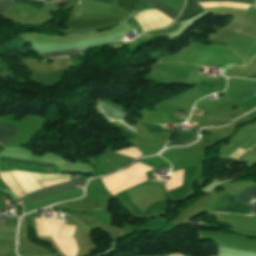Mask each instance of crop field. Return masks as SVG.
I'll return each instance as SVG.
<instances>
[{
	"label": "crop field",
	"instance_id": "8a807250",
	"mask_svg": "<svg viewBox=\"0 0 256 256\" xmlns=\"http://www.w3.org/2000/svg\"><path fill=\"white\" fill-rule=\"evenodd\" d=\"M73 182H68L60 185H56L53 187L45 188L40 191L34 192L32 194H29L27 196H24L26 199H28L31 203H34L36 201H39L44 198H48L51 196H55L58 194H62L65 192H69L78 188L73 187Z\"/></svg>",
	"mask_w": 256,
	"mask_h": 256
},
{
	"label": "crop field",
	"instance_id": "ac0d7876",
	"mask_svg": "<svg viewBox=\"0 0 256 256\" xmlns=\"http://www.w3.org/2000/svg\"><path fill=\"white\" fill-rule=\"evenodd\" d=\"M234 199V196L225 193L219 203L213 209L231 212H235L237 208L250 209L249 206L237 203Z\"/></svg>",
	"mask_w": 256,
	"mask_h": 256
},
{
	"label": "crop field",
	"instance_id": "34b2d1b8",
	"mask_svg": "<svg viewBox=\"0 0 256 256\" xmlns=\"http://www.w3.org/2000/svg\"><path fill=\"white\" fill-rule=\"evenodd\" d=\"M21 130L0 122V143L3 145L15 138Z\"/></svg>",
	"mask_w": 256,
	"mask_h": 256
},
{
	"label": "crop field",
	"instance_id": "412701ff",
	"mask_svg": "<svg viewBox=\"0 0 256 256\" xmlns=\"http://www.w3.org/2000/svg\"><path fill=\"white\" fill-rule=\"evenodd\" d=\"M59 205H64L76 209H96L100 208L95 198L82 199L77 201H72L68 203H63Z\"/></svg>",
	"mask_w": 256,
	"mask_h": 256
},
{
	"label": "crop field",
	"instance_id": "f4fd0767",
	"mask_svg": "<svg viewBox=\"0 0 256 256\" xmlns=\"http://www.w3.org/2000/svg\"><path fill=\"white\" fill-rule=\"evenodd\" d=\"M147 4L157 8L159 11H161L163 14H165L167 17H169L171 20H174V18L177 16L178 12H176L174 9H172L170 6H168L166 3H164L162 0H144ZM156 9V10H157Z\"/></svg>",
	"mask_w": 256,
	"mask_h": 256
},
{
	"label": "crop field",
	"instance_id": "dd49c442",
	"mask_svg": "<svg viewBox=\"0 0 256 256\" xmlns=\"http://www.w3.org/2000/svg\"><path fill=\"white\" fill-rule=\"evenodd\" d=\"M15 4L17 3H26L33 8H41L45 2L38 0H13ZM14 5L12 0H0V14H3L8 7Z\"/></svg>",
	"mask_w": 256,
	"mask_h": 256
},
{
	"label": "crop field",
	"instance_id": "e52e79f7",
	"mask_svg": "<svg viewBox=\"0 0 256 256\" xmlns=\"http://www.w3.org/2000/svg\"><path fill=\"white\" fill-rule=\"evenodd\" d=\"M182 12L183 14L178 21L194 17L199 13L203 12V10L201 9L199 4L195 3L192 0H187V5Z\"/></svg>",
	"mask_w": 256,
	"mask_h": 256
},
{
	"label": "crop field",
	"instance_id": "d8731c3e",
	"mask_svg": "<svg viewBox=\"0 0 256 256\" xmlns=\"http://www.w3.org/2000/svg\"><path fill=\"white\" fill-rule=\"evenodd\" d=\"M183 134L180 133H176V135L173 137V139L170 141L169 144H173V145H178L180 139L182 138ZM197 140V136L192 134V133H188V134H184L182 140L180 141L179 145H186V144H190L193 141Z\"/></svg>",
	"mask_w": 256,
	"mask_h": 256
},
{
	"label": "crop field",
	"instance_id": "5a996713",
	"mask_svg": "<svg viewBox=\"0 0 256 256\" xmlns=\"http://www.w3.org/2000/svg\"><path fill=\"white\" fill-rule=\"evenodd\" d=\"M255 198H256V187L246 189L239 196H237L236 200L249 205L250 201H252Z\"/></svg>",
	"mask_w": 256,
	"mask_h": 256
},
{
	"label": "crop field",
	"instance_id": "3316defc",
	"mask_svg": "<svg viewBox=\"0 0 256 256\" xmlns=\"http://www.w3.org/2000/svg\"><path fill=\"white\" fill-rule=\"evenodd\" d=\"M99 105L104 109V111L106 112L108 117L115 118V119H120V118H124L125 115H126L124 113H121V112L113 109L112 107L107 105L104 101L100 100Z\"/></svg>",
	"mask_w": 256,
	"mask_h": 256
},
{
	"label": "crop field",
	"instance_id": "28ad6ade",
	"mask_svg": "<svg viewBox=\"0 0 256 256\" xmlns=\"http://www.w3.org/2000/svg\"><path fill=\"white\" fill-rule=\"evenodd\" d=\"M80 53H83V52L77 49H72V50H64V51H57V52H50V53H42L40 55L45 57H56V56H73Z\"/></svg>",
	"mask_w": 256,
	"mask_h": 256
},
{
	"label": "crop field",
	"instance_id": "d1516ede",
	"mask_svg": "<svg viewBox=\"0 0 256 256\" xmlns=\"http://www.w3.org/2000/svg\"><path fill=\"white\" fill-rule=\"evenodd\" d=\"M12 247H13V243L0 241V255L9 253Z\"/></svg>",
	"mask_w": 256,
	"mask_h": 256
},
{
	"label": "crop field",
	"instance_id": "22f410ed",
	"mask_svg": "<svg viewBox=\"0 0 256 256\" xmlns=\"http://www.w3.org/2000/svg\"><path fill=\"white\" fill-rule=\"evenodd\" d=\"M197 2H209V1H230V2H238V3H246L252 4L254 1L251 0H195Z\"/></svg>",
	"mask_w": 256,
	"mask_h": 256
},
{
	"label": "crop field",
	"instance_id": "cbeb9de0",
	"mask_svg": "<svg viewBox=\"0 0 256 256\" xmlns=\"http://www.w3.org/2000/svg\"><path fill=\"white\" fill-rule=\"evenodd\" d=\"M141 124H143L148 129L149 132L160 133V131H161V127L160 126L151 125V124H145V123H142V122H141Z\"/></svg>",
	"mask_w": 256,
	"mask_h": 256
},
{
	"label": "crop field",
	"instance_id": "5142ce71",
	"mask_svg": "<svg viewBox=\"0 0 256 256\" xmlns=\"http://www.w3.org/2000/svg\"><path fill=\"white\" fill-rule=\"evenodd\" d=\"M255 95H256V87L254 89H252L250 92L238 97V99L243 101V100L250 99V98L254 97Z\"/></svg>",
	"mask_w": 256,
	"mask_h": 256
},
{
	"label": "crop field",
	"instance_id": "d9b57169",
	"mask_svg": "<svg viewBox=\"0 0 256 256\" xmlns=\"http://www.w3.org/2000/svg\"><path fill=\"white\" fill-rule=\"evenodd\" d=\"M95 1H101V2L111 3L113 0H95Z\"/></svg>",
	"mask_w": 256,
	"mask_h": 256
},
{
	"label": "crop field",
	"instance_id": "733c2abd",
	"mask_svg": "<svg viewBox=\"0 0 256 256\" xmlns=\"http://www.w3.org/2000/svg\"><path fill=\"white\" fill-rule=\"evenodd\" d=\"M247 78H249V79H256V74H254V75H252V76H249V77H247Z\"/></svg>",
	"mask_w": 256,
	"mask_h": 256
},
{
	"label": "crop field",
	"instance_id": "4a817a6b",
	"mask_svg": "<svg viewBox=\"0 0 256 256\" xmlns=\"http://www.w3.org/2000/svg\"><path fill=\"white\" fill-rule=\"evenodd\" d=\"M3 146L0 145V150L2 149Z\"/></svg>",
	"mask_w": 256,
	"mask_h": 256
},
{
	"label": "crop field",
	"instance_id": "bc2a9ffb",
	"mask_svg": "<svg viewBox=\"0 0 256 256\" xmlns=\"http://www.w3.org/2000/svg\"><path fill=\"white\" fill-rule=\"evenodd\" d=\"M191 115H192V114H191ZM191 115H190V117H191ZM189 119H190V118H189ZM189 119H188V121H189ZM188 121H187V122H188Z\"/></svg>",
	"mask_w": 256,
	"mask_h": 256
},
{
	"label": "crop field",
	"instance_id": "214f88e0",
	"mask_svg": "<svg viewBox=\"0 0 256 256\" xmlns=\"http://www.w3.org/2000/svg\"><path fill=\"white\" fill-rule=\"evenodd\" d=\"M253 203H255V204H256V201H254Z\"/></svg>",
	"mask_w": 256,
	"mask_h": 256
}]
</instances>
